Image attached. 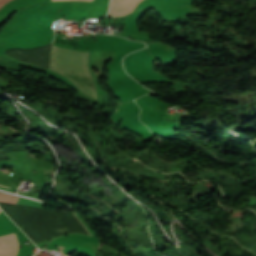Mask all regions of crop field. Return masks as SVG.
Masks as SVG:
<instances>
[{
    "label": "crop field",
    "instance_id": "crop-field-1",
    "mask_svg": "<svg viewBox=\"0 0 256 256\" xmlns=\"http://www.w3.org/2000/svg\"><path fill=\"white\" fill-rule=\"evenodd\" d=\"M89 53L53 46L50 68L68 79L84 94L97 99L94 79L87 65Z\"/></svg>",
    "mask_w": 256,
    "mask_h": 256
},
{
    "label": "crop field",
    "instance_id": "crop-field-2",
    "mask_svg": "<svg viewBox=\"0 0 256 256\" xmlns=\"http://www.w3.org/2000/svg\"><path fill=\"white\" fill-rule=\"evenodd\" d=\"M17 252L18 242L15 232L0 237V256H16Z\"/></svg>",
    "mask_w": 256,
    "mask_h": 256
},
{
    "label": "crop field",
    "instance_id": "crop-field-3",
    "mask_svg": "<svg viewBox=\"0 0 256 256\" xmlns=\"http://www.w3.org/2000/svg\"><path fill=\"white\" fill-rule=\"evenodd\" d=\"M140 1L141 0H112L110 12L115 16L125 15L131 12Z\"/></svg>",
    "mask_w": 256,
    "mask_h": 256
},
{
    "label": "crop field",
    "instance_id": "crop-field-4",
    "mask_svg": "<svg viewBox=\"0 0 256 256\" xmlns=\"http://www.w3.org/2000/svg\"><path fill=\"white\" fill-rule=\"evenodd\" d=\"M18 199H19V197H16L14 195L0 192V202H2V203L16 204Z\"/></svg>",
    "mask_w": 256,
    "mask_h": 256
},
{
    "label": "crop field",
    "instance_id": "crop-field-5",
    "mask_svg": "<svg viewBox=\"0 0 256 256\" xmlns=\"http://www.w3.org/2000/svg\"><path fill=\"white\" fill-rule=\"evenodd\" d=\"M11 0H0V7L5 5L6 3H8Z\"/></svg>",
    "mask_w": 256,
    "mask_h": 256
},
{
    "label": "crop field",
    "instance_id": "crop-field-6",
    "mask_svg": "<svg viewBox=\"0 0 256 256\" xmlns=\"http://www.w3.org/2000/svg\"><path fill=\"white\" fill-rule=\"evenodd\" d=\"M55 1H66V0H55ZM82 1H92V0H82Z\"/></svg>",
    "mask_w": 256,
    "mask_h": 256
},
{
    "label": "crop field",
    "instance_id": "crop-field-7",
    "mask_svg": "<svg viewBox=\"0 0 256 256\" xmlns=\"http://www.w3.org/2000/svg\"><path fill=\"white\" fill-rule=\"evenodd\" d=\"M1 186V185H0ZM2 187H5V186H2ZM2 187H0V189H4V190H9V189H7V188H9V187H7V188H2Z\"/></svg>",
    "mask_w": 256,
    "mask_h": 256
}]
</instances>
